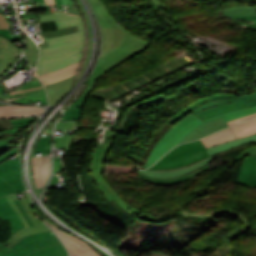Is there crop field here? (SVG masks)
I'll list each match as a JSON object with an SVG mask.
<instances>
[{
    "mask_svg": "<svg viewBox=\"0 0 256 256\" xmlns=\"http://www.w3.org/2000/svg\"><path fill=\"white\" fill-rule=\"evenodd\" d=\"M11 198L13 199L12 195H10ZM14 201V199H13ZM15 204L17 205V207L19 208V210L21 211L22 215L24 216V218L26 219V221L28 222V224L30 225V227H33L34 224L32 223V221L30 220L29 216L27 215V213L25 212L24 208L22 207V205L20 204L19 200L14 201Z\"/></svg>",
    "mask_w": 256,
    "mask_h": 256,
    "instance_id": "e1f06a70",
    "label": "crop field"
},
{
    "mask_svg": "<svg viewBox=\"0 0 256 256\" xmlns=\"http://www.w3.org/2000/svg\"><path fill=\"white\" fill-rule=\"evenodd\" d=\"M55 4L56 5H62V2H61V0H55Z\"/></svg>",
    "mask_w": 256,
    "mask_h": 256,
    "instance_id": "447ae74e",
    "label": "crop field"
},
{
    "mask_svg": "<svg viewBox=\"0 0 256 256\" xmlns=\"http://www.w3.org/2000/svg\"><path fill=\"white\" fill-rule=\"evenodd\" d=\"M51 136L42 137L34 152H50Z\"/></svg>",
    "mask_w": 256,
    "mask_h": 256,
    "instance_id": "1d83c4d3",
    "label": "crop field"
},
{
    "mask_svg": "<svg viewBox=\"0 0 256 256\" xmlns=\"http://www.w3.org/2000/svg\"><path fill=\"white\" fill-rule=\"evenodd\" d=\"M210 157L204 145L199 141L181 144L165 155L150 169L174 170L190 166L202 159Z\"/></svg>",
    "mask_w": 256,
    "mask_h": 256,
    "instance_id": "412701ff",
    "label": "crop field"
},
{
    "mask_svg": "<svg viewBox=\"0 0 256 256\" xmlns=\"http://www.w3.org/2000/svg\"><path fill=\"white\" fill-rule=\"evenodd\" d=\"M41 88H43V87H39V88L31 89V90H26V91H21V92H17V93H11V94H8V95L24 93V92H28V91H33V90L41 89Z\"/></svg>",
    "mask_w": 256,
    "mask_h": 256,
    "instance_id": "0fb4a251",
    "label": "crop field"
},
{
    "mask_svg": "<svg viewBox=\"0 0 256 256\" xmlns=\"http://www.w3.org/2000/svg\"><path fill=\"white\" fill-rule=\"evenodd\" d=\"M0 176L18 192L26 190L22 180L21 162L18 154L14 160L7 159L0 163Z\"/></svg>",
    "mask_w": 256,
    "mask_h": 256,
    "instance_id": "3316defc",
    "label": "crop field"
},
{
    "mask_svg": "<svg viewBox=\"0 0 256 256\" xmlns=\"http://www.w3.org/2000/svg\"><path fill=\"white\" fill-rule=\"evenodd\" d=\"M62 165L59 160H54V173L62 171Z\"/></svg>",
    "mask_w": 256,
    "mask_h": 256,
    "instance_id": "425ffa30",
    "label": "crop field"
},
{
    "mask_svg": "<svg viewBox=\"0 0 256 256\" xmlns=\"http://www.w3.org/2000/svg\"><path fill=\"white\" fill-rule=\"evenodd\" d=\"M255 154L250 166H249V183L252 188H256V173H255V167H256V147H250L243 150L236 158H234L228 165L233 166L236 161L242 159L245 156Z\"/></svg>",
    "mask_w": 256,
    "mask_h": 256,
    "instance_id": "00972430",
    "label": "crop field"
},
{
    "mask_svg": "<svg viewBox=\"0 0 256 256\" xmlns=\"http://www.w3.org/2000/svg\"><path fill=\"white\" fill-rule=\"evenodd\" d=\"M94 9L103 33V46L100 58L117 49L124 41L126 29L118 25L109 15L107 7L101 0H89Z\"/></svg>",
    "mask_w": 256,
    "mask_h": 256,
    "instance_id": "f4fd0767",
    "label": "crop field"
},
{
    "mask_svg": "<svg viewBox=\"0 0 256 256\" xmlns=\"http://www.w3.org/2000/svg\"><path fill=\"white\" fill-rule=\"evenodd\" d=\"M13 135H14V134H12V135H7V136L4 137L3 140L0 141V151H1L3 148L10 147V145H8L7 143H8L11 139L14 138Z\"/></svg>",
    "mask_w": 256,
    "mask_h": 256,
    "instance_id": "b54c1fbb",
    "label": "crop field"
},
{
    "mask_svg": "<svg viewBox=\"0 0 256 256\" xmlns=\"http://www.w3.org/2000/svg\"><path fill=\"white\" fill-rule=\"evenodd\" d=\"M77 67L73 68V69H70L66 72H63L61 74H58V75H55L51 78H47V79H42L41 81L43 82L44 85L46 84H50V83H54V82H57L63 78H66V77H69V76H73L75 71H76Z\"/></svg>",
    "mask_w": 256,
    "mask_h": 256,
    "instance_id": "bd1437ed",
    "label": "crop field"
},
{
    "mask_svg": "<svg viewBox=\"0 0 256 256\" xmlns=\"http://www.w3.org/2000/svg\"><path fill=\"white\" fill-rule=\"evenodd\" d=\"M78 121H59L56 124L58 130L75 131Z\"/></svg>",
    "mask_w": 256,
    "mask_h": 256,
    "instance_id": "5866460e",
    "label": "crop field"
},
{
    "mask_svg": "<svg viewBox=\"0 0 256 256\" xmlns=\"http://www.w3.org/2000/svg\"><path fill=\"white\" fill-rule=\"evenodd\" d=\"M73 77L66 78L57 83L45 86L49 105L55 106L56 102L68 92V90L71 88Z\"/></svg>",
    "mask_w": 256,
    "mask_h": 256,
    "instance_id": "733c2abd",
    "label": "crop field"
},
{
    "mask_svg": "<svg viewBox=\"0 0 256 256\" xmlns=\"http://www.w3.org/2000/svg\"><path fill=\"white\" fill-rule=\"evenodd\" d=\"M240 13H256V9L253 7H237L228 10H224L223 14H240Z\"/></svg>",
    "mask_w": 256,
    "mask_h": 256,
    "instance_id": "028f5c9d",
    "label": "crop field"
},
{
    "mask_svg": "<svg viewBox=\"0 0 256 256\" xmlns=\"http://www.w3.org/2000/svg\"><path fill=\"white\" fill-rule=\"evenodd\" d=\"M208 167H210V166L207 164L206 166H204L194 172H189L185 175L174 177V178H169V179L149 177V176H145V175L141 174L139 171L138 172H139V176H141L143 179H145L151 183L160 184V185H174V184L180 183L181 181H183L185 179H189V178L199 174L200 172L207 169Z\"/></svg>",
    "mask_w": 256,
    "mask_h": 256,
    "instance_id": "bc2a9ffb",
    "label": "crop field"
},
{
    "mask_svg": "<svg viewBox=\"0 0 256 256\" xmlns=\"http://www.w3.org/2000/svg\"><path fill=\"white\" fill-rule=\"evenodd\" d=\"M234 18L251 19V23H255L256 24V16H253V17H232V19H234Z\"/></svg>",
    "mask_w": 256,
    "mask_h": 256,
    "instance_id": "1f2cbd36",
    "label": "crop field"
},
{
    "mask_svg": "<svg viewBox=\"0 0 256 256\" xmlns=\"http://www.w3.org/2000/svg\"><path fill=\"white\" fill-rule=\"evenodd\" d=\"M44 112L45 109L43 107H33L26 105L0 106V118L38 115Z\"/></svg>",
    "mask_w": 256,
    "mask_h": 256,
    "instance_id": "5142ce71",
    "label": "crop field"
},
{
    "mask_svg": "<svg viewBox=\"0 0 256 256\" xmlns=\"http://www.w3.org/2000/svg\"><path fill=\"white\" fill-rule=\"evenodd\" d=\"M256 141V135H252L249 137H245V138H241V139H237L234 141H230L227 142L225 144L219 145V146H214L212 148L207 149V151L209 152L210 156L217 154L219 152L237 147V146H241V145H245V144H249L252 142ZM213 157L211 156L210 158L200 161L198 163H196L193 166L187 167V168H183V169H179V170H174V171H152V170H146V171H140L141 173H144L146 175H150V176H155V177H161V178H168V177H174V176H178V175H182L185 174L189 171H193L195 169H198L202 166H204L205 164H207L208 162L212 161Z\"/></svg>",
    "mask_w": 256,
    "mask_h": 256,
    "instance_id": "e52e79f7",
    "label": "crop field"
},
{
    "mask_svg": "<svg viewBox=\"0 0 256 256\" xmlns=\"http://www.w3.org/2000/svg\"><path fill=\"white\" fill-rule=\"evenodd\" d=\"M0 35L7 37L12 42L22 40L21 35L11 36L10 31L0 30Z\"/></svg>",
    "mask_w": 256,
    "mask_h": 256,
    "instance_id": "0bd39190",
    "label": "crop field"
},
{
    "mask_svg": "<svg viewBox=\"0 0 256 256\" xmlns=\"http://www.w3.org/2000/svg\"><path fill=\"white\" fill-rule=\"evenodd\" d=\"M254 112H256V106L249 109L246 108L238 110L222 116L225 118L226 121H228ZM201 123L203 122L199 120L196 116H194L191 112L185 118H183L181 121L175 124L153 148L146 162V168H148L151 164H153L155 161L161 158L170 149L175 147L189 132H191L196 126H198Z\"/></svg>",
    "mask_w": 256,
    "mask_h": 256,
    "instance_id": "ac0d7876",
    "label": "crop field"
},
{
    "mask_svg": "<svg viewBox=\"0 0 256 256\" xmlns=\"http://www.w3.org/2000/svg\"><path fill=\"white\" fill-rule=\"evenodd\" d=\"M79 29L78 33L46 39L50 47L40 49L38 75L62 69L81 59L84 43L83 25H80Z\"/></svg>",
    "mask_w": 256,
    "mask_h": 256,
    "instance_id": "8a807250",
    "label": "crop field"
},
{
    "mask_svg": "<svg viewBox=\"0 0 256 256\" xmlns=\"http://www.w3.org/2000/svg\"><path fill=\"white\" fill-rule=\"evenodd\" d=\"M9 22H6L4 15L0 14V29H7L10 26Z\"/></svg>",
    "mask_w": 256,
    "mask_h": 256,
    "instance_id": "d23c7cc5",
    "label": "crop field"
},
{
    "mask_svg": "<svg viewBox=\"0 0 256 256\" xmlns=\"http://www.w3.org/2000/svg\"><path fill=\"white\" fill-rule=\"evenodd\" d=\"M77 65H78V62H77V63H75V64H73V65H70V66H68V67H66V68H64V69H62V70L55 71V72H52V73L47 74V75H41V76H39V79L46 78V77H50V76H52V75H55V74L61 73V72H63V71H66V70H68V69H70V68L74 67V66H77Z\"/></svg>",
    "mask_w": 256,
    "mask_h": 256,
    "instance_id": "5d738f31",
    "label": "crop field"
},
{
    "mask_svg": "<svg viewBox=\"0 0 256 256\" xmlns=\"http://www.w3.org/2000/svg\"><path fill=\"white\" fill-rule=\"evenodd\" d=\"M22 17H40V22L56 21L59 29L82 24L81 16L67 14L61 10L56 11L52 15H36V16H22Z\"/></svg>",
    "mask_w": 256,
    "mask_h": 256,
    "instance_id": "cbeb9de0",
    "label": "crop field"
},
{
    "mask_svg": "<svg viewBox=\"0 0 256 256\" xmlns=\"http://www.w3.org/2000/svg\"><path fill=\"white\" fill-rule=\"evenodd\" d=\"M0 217L10 220L12 225L11 235L17 230L24 228V225L20 221L6 197L0 199Z\"/></svg>",
    "mask_w": 256,
    "mask_h": 256,
    "instance_id": "4a817a6b",
    "label": "crop field"
},
{
    "mask_svg": "<svg viewBox=\"0 0 256 256\" xmlns=\"http://www.w3.org/2000/svg\"><path fill=\"white\" fill-rule=\"evenodd\" d=\"M238 96L239 99H223L204 104L193 110V114L204 121L211 117L256 105V91L252 94Z\"/></svg>",
    "mask_w": 256,
    "mask_h": 256,
    "instance_id": "dd49c442",
    "label": "crop field"
},
{
    "mask_svg": "<svg viewBox=\"0 0 256 256\" xmlns=\"http://www.w3.org/2000/svg\"><path fill=\"white\" fill-rule=\"evenodd\" d=\"M35 118H20L12 121L13 129L2 131L4 135L16 133L19 128L27 127Z\"/></svg>",
    "mask_w": 256,
    "mask_h": 256,
    "instance_id": "ae1a2a85",
    "label": "crop field"
},
{
    "mask_svg": "<svg viewBox=\"0 0 256 256\" xmlns=\"http://www.w3.org/2000/svg\"><path fill=\"white\" fill-rule=\"evenodd\" d=\"M19 50L21 49H18L11 41L0 36V78L16 62L18 56L14 54Z\"/></svg>",
    "mask_w": 256,
    "mask_h": 256,
    "instance_id": "d1516ede",
    "label": "crop field"
},
{
    "mask_svg": "<svg viewBox=\"0 0 256 256\" xmlns=\"http://www.w3.org/2000/svg\"><path fill=\"white\" fill-rule=\"evenodd\" d=\"M72 139L73 135H65L64 139L55 138V147L69 151Z\"/></svg>",
    "mask_w": 256,
    "mask_h": 256,
    "instance_id": "120bbe31",
    "label": "crop field"
},
{
    "mask_svg": "<svg viewBox=\"0 0 256 256\" xmlns=\"http://www.w3.org/2000/svg\"><path fill=\"white\" fill-rule=\"evenodd\" d=\"M18 148H15L11 151H9L7 154H5L4 156L0 157V162L3 161L4 159L16 154L18 152ZM17 191H15L5 180H3L0 177V197L1 196H5L8 194H12V193H16Z\"/></svg>",
    "mask_w": 256,
    "mask_h": 256,
    "instance_id": "730fd06b",
    "label": "crop field"
},
{
    "mask_svg": "<svg viewBox=\"0 0 256 256\" xmlns=\"http://www.w3.org/2000/svg\"><path fill=\"white\" fill-rule=\"evenodd\" d=\"M237 139L232 133L230 128L223 131L214 133L206 138L201 139V142L205 145L206 149L216 144H222L230 140Z\"/></svg>",
    "mask_w": 256,
    "mask_h": 256,
    "instance_id": "dafd665d",
    "label": "crop field"
},
{
    "mask_svg": "<svg viewBox=\"0 0 256 256\" xmlns=\"http://www.w3.org/2000/svg\"><path fill=\"white\" fill-rule=\"evenodd\" d=\"M25 40L27 44L25 55L30 65H32L37 62L38 52L34 46L35 44L33 45L32 41L28 37H25Z\"/></svg>",
    "mask_w": 256,
    "mask_h": 256,
    "instance_id": "eef30255",
    "label": "crop field"
},
{
    "mask_svg": "<svg viewBox=\"0 0 256 256\" xmlns=\"http://www.w3.org/2000/svg\"><path fill=\"white\" fill-rule=\"evenodd\" d=\"M227 127H229V126L226 123V121L223 119V117L211 120L209 122H206V123L196 127L180 143L207 136L211 133L217 132V131L222 130Z\"/></svg>",
    "mask_w": 256,
    "mask_h": 256,
    "instance_id": "22f410ed",
    "label": "crop field"
},
{
    "mask_svg": "<svg viewBox=\"0 0 256 256\" xmlns=\"http://www.w3.org/2000/svg\"><path fill=\"white\" fill-rule=\"evenodd\" d=\"M0 121L2 122V124L5 123V120H0ZM10 128H12V126H11V121H9L8 126H4V127H1V126H0V130H3V129H10Z\"/></svg>",
    "mask_w": 256,
    "mask_h": 256,
    "instance_id": "dbb93151",
    "label": "crop field"
},
{
    "mask_svg": "<svg viewBox=\"0 0 256 256\" xmlns=\"http://www.w3.org/2000/svg\"><path fill=\"white\" fill-rule=\"evenodd\" d=\"M254 116H256V113L248 115V116H245V117H241V118H238V119H235V120L228 121V124H229V126H232V125H235L237 123L243 122V121H245V120H247L249 118H252Z\"/></svg>",
    "mask_w": 256,
    "mask_h": 256,
    "instance_id": "c21b1889",
    "label": "crop field"
},
{
    "mask_svg": "<svg viewBox=\"0 0 256 256\" xmlns=\"http://www.w3.org/2000/svg\"><path fill=\"white\" fill-rule=\"evenodd\" d=\"M27 256H68V254L64 246L62 244H59L42 248L28 254Z\"/></svg>",
    "mask_w": 256,
    "mask_h": 256,
    "instance_id": "4177f3b9",
    "label": "crop field"
},
{
    "mask_svg": "<svg viewBox=\"0 0 256 256\" xmlns=\"http://www.w3.org/2000/svg\"><path fill=\"white\" fill-rule=\"evenodd\" d=\"M50 232L25 236L22 240L12 246V248L3 256H25L42 247L59 244L60 241L58 238L54 233L50 234Z\"/></svg>",
    "mask_w": 256,
    "mask_h": 256,
    "instance_id": "d8731c3e",
    "label": "crop field"
},
{
    "mask_svg": "<svg viewBox=\"0 0 256 256\" xmlns=\"http://www.w3.org/2000/svg\"><path fill=\"white\" fill-rule=\"evenodd\" d=\"M78 27H72V28H67L63 30H56V31H50V32H41V34L44 36V38H51V37H57V36H62L74 32H78Z\"/></svg>",
    "mask_w": 256,
    "mask_h": 256,
    "instance_id": "750c4746",
    "label": "crop field"
},
{
    "mask_svg": "<svg viewBox=\"0 0 256 256\" xmlns=\"http://www.w3.org/2000/svg\"><path fill=\"white\" fill-rule=\"evenodd\" d=\"M21 204L23 205V207L25 208L26 212L28 213V215L30 216V218L32 219L33 223L35 224L36 227L33 228H25L22 230L17 231L16 233L13 234V236L5 243L6 246L14 239L16 238L18 235H20L23 232L26 231H30V230H35V229H40V228H46L47 225L44 224L41 220L37 219L36 216L33 213V206L30 202L29 199H23L20 200Z\"/></svg>",
    "mask_w": 256,
    "mask_h": 256,
    "instance_id": "92a150f3",
    "label": "crop field"
},
{
    "mask_svg": "<svg viewBox=\"0 0 256 256\" xmlns=\"http://www.w3.org/2000/svg\"><path fill=\"white\" fill-rule=\"evenodd\" d=\"M252 157L253 156H249V157L245 158L243 165H242L241 172L239 174V178H238L239 183H241L245 186H248V187H250L248 180H247L248 166L250 164Z\"/></svg>",
    "mask_w": 256,
    "mask_h": 256,
    "instance_id": "d3111659",
    "label": "crop field"
},
{
    "mask_svg": "<svg viewBox=\"0 0 256 256\" xmlns=\"http://www.w3.org/2000/svg\"><path fill=\"white\" fill-rule=\"evenodd\" d=\"M10 248L4 246L0 243V256H2L6 251H8Z\"/></svg>",
    "mask_w": 256,
    "mask_h": 256,
    "instance_id": "89e229c0",
    "label": "crop field"
},
{
    "mask_svg": "<svg viewBox=\"0 0 256 256\" xmlns=\"http://www.w3.org/2000/svg\"><path fill=\"white\" fill-rule=\"evenodd\" d=\"M85 98H86V96L79 103L80 108L66 111L65 116L63 117L62 120H78L80 118L81 107L83 105V102H84Z\"/></svg>",
    "mask_w": 256,
    "mask_h": 256,
    "instance_id": "d32e631a",
    "label": "crop field"
},
{
    "mask_svg": "<svg viewBox=\"0 0 256 256\" xmlns=\"http://www.w3.org/2000/svg\"><path fill=\"white\" fill-rule=\"evenodd\" d=\"M114 136H115L114 133H112L111 131H108L107 136H106L107 140L105 142L104 149H108V150L111 149V147L113 145Z\"/></svg>",
    "mask_w": 256,
    "mask_h": 256,
    "instance_id": "b80d0937",
    "label": "crop field"
},
{
    "mask_svg": "<svg viewBox=\"0 0 256 256\" xmlns=\"http://www.w3.org/2000/svg\"><path fill=\"white\" fill-rule=\"evenodd\" d=\"M148 46H149L148 42H145L141 39L134 37L132 34H130L127 31L124 43L116 51L99 59V62L97 64L95 70L92 72L89 79L85 83V84L90 83L89 86L87 87L85 93H83L80 96L79 100H77V102L75 104H73L69 109L79 107L78 103L87 94V92L93 87L94 82L98 78H100L104 73H106L108 70L114 68L115 66L121 64L122 62L128 60L135 54L145 50Z\"/></svg>",
    "mask_w": 256,
    "mask_h": 256,
    "instance_id": "34b2d1b8",
    "label": "crop field"
},
{
    "mask_svg": "<svg viewBox=\"0 0 256 256\" xmlns=\"http://www.w3.org/2000/svg\"><path fill=\"white\" fill-rule=\"evenodd\" d=\"M232 21H235V20H232ZM235 22H237V21H235ZM238 23H241V24H245V25H250V26H256V25H254V24H251V23H243V22H238Z\"/></svg>",
    "mask_w": 256,
    "mask_h": 256,
    "instance_id": "9d1cf04e",
    "label": "crop field"
},
{
    "mask_svg": "<svg viewBox=\"0 0 256 256\" xmlns=\"http://www.w3.org/2000/svg\"><path fill=\"white\" fill-rule=\"evenodd\" d=\"M56 176V175H55ZM53 175L52 181L48 187L55 188L58 182V178Z\"/></svg>",
    "mask_w": 256,
    "mask_h": 256,
    "instance_id": "25e5ab78",
    "label": "crop field"
},
{
    "mask_svg": "<svg viewBox=\"0 0 256 256\" xmlns=\"http://www.w3.org/2000/svg\"><path fill=\"white\" fill-rule=\"evenodd\" d=\"M45 222L54 231L57 237L65 244L70 256H100L85 241L59 230L57 227L47 221Z\"/></svg>",
    "mask_w": 256,
    "mask_h": 256,
    "instance_id": "5a996713",
    "label": "crop field"
},
{
    "mask_svg": "<svg viewBox=\"0 0 256 256\" xmlns=\"http://www.w3.org/2000/svg\"><path fill=\"white\" fill-rule=\"evenodd\" d=\"M49 230H50L49 228H46V229L35 230V231H31V232L24 233V234L20 235L19 237H17L15 240H13V241L8 245V247H11L13 244H15L17 241H19L20 239H22V238H23L25 235H27V234H34V233L45 232V231H49Z\"/></svg>",
    "mask_w": 256,
    "mask_h": 256,
    "instance_id": "c035e120",
    "label": "crop field"
},
{
    "mask_svg": "<svg viewBox=\"0 0 256 256\" xmlns=\"http://www.w3.org/2000/svg\"><path fill=\"white\" fill-rule=\"evenodd\" d=\"M38 86H42V85L37 84V82L35 81H30L12 92L26 90V89H30ZM3 93H5L4 86L2 85V83H0V98L3 100L9 101V102H17V103H33L35 102L34 100L42 99L43 103L47 104V97L44 89L28 92L24 94H19V95H13V96L3 95Z\"/></svg>",
    "mask_w": 256,
    "mask_h": 256,
    "instance_id": "28ad6ade",
    "label": "crop field"
},
{
    "mask_svg": "<svg viewBox=\"0 0 256 256\" xmlns=\"http://www.w3.org/2000/svg\"><path fill=\"white\" fill-rule=\"evenodd\" d=\"M37 188L43 187L50 172V157H32Z\"/></svg>",
    "mask_w": 256,
    "mask_h": 256,
    "instance_id": "d9b57169",
    "label": "crop field"
},
{
    "mask_svg": "<svg viewBox=\"0 0 256 256\" xmlns=\"http://www.w3.org/2000/svg\"><path fill=\"white\" fill-rule=\"evenodd\" d=\"M249 123V124H247ZM237 138L256 134V118L230 127Z\"/></svg>",
    "mask_w": 256,
    "mask_h": 256,
    "instance_id": "a9b5d70f",
    "label": "crop field"
},
{
    "mask_svg": "<svg viewBox=\"0 0 256 256\" xmlns=\"http://www.w3.org/2000/svg\"><path fill=\"white\" fill-rule=\"evenodd\" d=\"M7 199L9 200V202L11 203L12 207L14 208V210L16 211V213L18 214V216L20 217L21 221L23 222V224L25 225V227H29V225L27 224V222L25 221V219L23 218V216L21 215V213L19 212L18 208L16 207V205L14 204V202L12 201V199L10 198V196H7Z\"/></svg>",
    "mask_w": 256,
    "mask_h": 256,
    "instance_id": "03da06ac",
    "label": "crop field"
},
{
    "mask_svg": "<svg viewBox=\"0 0 256 256\" xmlns=\"http://www.w3.org/2000/svg\"><path fill=\"white\" fill-rule=\"evenodd\" d=\"M256 14H240V15H225V16H253Z\"/></svg>",
    "mask_w": 256,
    "mask_h": 256,
    "instance_id": "1d79db26",
    "label": "crop field"
},
{
    "mask_svg": "<svg viewBox=\"0 0 256 256\" xmlns=\"http://www.w3.org/2000/svg\"><path fill=\"white\" fill-rule=\"evenodd\" d=\"M222 98H238V97H237V94H219V95H215V96H211V97L201 99V100L191 104L189 107H187L185 110L178 113L173 118L169 119L168 122H170L174 125L179 120H181L183 117H185L194 108H196V107H198V106H200L204 103L211 102V101L216 100V99H222Z\"/></svg>",
    "mask_w": 256,
    "mask_h": 256,
    "instance_id": "214f88e0",
    "label": "crop field"
},
{
    "mask_svg": "<svg viewBox=\"0 0 256 256\" xmlns=\"http://www.w3.org/2000/svg\"><path fill=\"white\" fill-rule=\"evenodd\" d=\"M156 6H158L159 8H168L165 4L159 2L158 0H151Z\"/></svg>",
    "mask_w": 256,
    "mask_h": 256,
    "instance_id": "73cf0c24",
    "label": "crop field"
},
{
    "mask_svg": "<svg viewBox=\"0 0 256 256\" xmlns=\"http://www.w3.org/2000/svg\"><path fill=\"white\" fill-rule=\"evenodd\" d=\"M240 26L241 27H246V28H251V29H256V27H250V26H245V25H241V24H240Z\"/></svg>",
    "mask_w": 256,
    "mask_h": 256,
    "instance_id": "0765c3eb",
    "label": "crop field"
}]
</instances>
